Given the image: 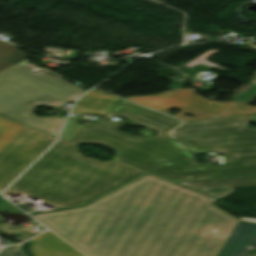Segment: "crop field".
I'll return each instance as SVG.
<instances>
[{
  "label": "crop field",
  "mask_w": 256,
  "mask_h": 256,
  "mask_svg": "<svg viewBox=\"0 0 256 256\" xmlns=\"http://www.w3.org/2000/svg\"><path fill=\"white\" fill-rule=\"evenodd\" d=\"M215 199L147 174L83 207L33 215L88 256H216L237 219Z\"/></svg>",
  "instance_id": "crop-field-1"
},
{
  "label": "crop field",
  "mask_w": 256,
  "mask_h": 256,
  "mask_svg": "<svg viewBox=\"0 0 256 256\" xmlns=\"http://www.w3.org/2000/svg\"><path fill=\"white\" fill-rule=\"evenodd\" d=\"M254 114L186 122L172 136L194 155L231 156L225 165H201L167 137L127 164L172 181L256 174V131L245 128Z\"/></svg>",
  "instance_id": "crop-field-2"
},
{
  "label": "crop field",
  "mask_w": 256,
  "mask_h": 256,
  "mask_svg": "<svg viewBox=\"0 0 256 256\" xmlns=\"http://www.w3.org/2000/svg\"><path fill=\"white\" fill-rule=\"evenodd\" d=\"M144 173L117 160L84 158L75 145L59 139L3 194L20 192L63 208L84 204Z\"/></svg>",
  "instance_id": "crop-field-3"
},
{
  "label": "crop field",
  "mask_w": 256,
  "mask_h": 256,
  "mask_svg": "<svg viewBox=\"0 0 256 256\" xmlns=\"http://www.w3.org/2000/svg\"><path fill=\"white\" fill-rule=\"evenodd\" d=\"M84 92L61 79L33 72L24 60L0 72V115L56 136L63 119L37 118L33 109L75 102Z\"/></svg>",
  "instance_id": "crop-field-4"
},
{
  "label": "crop field",
  "mask_w": 256,
  "mask_h": 256,
  "mask_svg": "<svg viewBox=\"0 0 256 256\" xmlns=\"http://www.w3.org/2000/svg\"><path fill=\"white\" fill-rule=\"evenodd\" d=\"M109 114L159 132V135L155 138L131 137L116 128L117 122L98 119L89 124L78 125L70 142L102 145L116 152L114 159L126 163L169 136L167 131L180 124V121L172 117L123 100Z\"/></svg>",
  "instance_id": "crop-field-5"
},
{
  "label": "crop field",
  "mask_w": 256,
  "mask_h": 256,
  "mask_svg": "<svg viewBox=\"0 0 256 256\" xmlns=\"http://www.w3.org/2000/svg\"><path fill=\"white\" fill-rule=\"evenodd\" d=\"M250 82L256 85V79H253ZM193 92L194 91L190 89H174L155 96L130 97L127 99L166 114H168L167 111L170 109L179 108L182 112L174 117L185 121L256 112V107L238 101L217 103L205 100ZM183 113L195 115L197 117L192 118L181 115Z\"/></svg>",
  "instance_id": "crop-field-6"
},
{
  "label": "crop field",
  "mask_w": 256,
  "mask_h": 256,
  "mask_svg": "<svg viewBox=\"0 0 256 256\" xmlns=\"http://www.w3.org/2000/svg\"><path fill=\"white\" fill-rule=\"evenodd\" d=\"M54 137L26 127L0 152V191L32 163Z\"/></svg>",
  "instance_id": "crop-field-7"
},
{
  "label": "crop field",
  "mask_w": 256,
  "mask_h": 256,
  "mask_svg": "<svg viewBox=\"0 0 256 256\" xmlns=\"http://www.w3.org/2000/svg\"><path fill=\"white\" fill-rule=\"evenodd\" d=\"M184 186L200 191L217 199H220L233 192L236 187L256 185V175L219 178L197 181L178 182Z\"/></svg>",
  "instance_id": "crop-field-8"
},
{
  "label": "crop field",
  "mask_w": 256,
  "mask_h": 256,
  "mask_svg": "<svg viewBox=\"0 0 256 256\" xmlns=\"http://www.w3.org/2000/svg\"><path fill=\"white\" fill-rule=\"evenodd\" d=\"M256 248V224L238 221L217 256H246Z\"/></svg>",
  "instance_id": "crop-field-9"
},
{
  "label": "crop field",
  "mask_w": 256,
  "mask_h": 256,
  "mask_svg": "<svg viewBox=\"0 0 256 256\" xmlns=\"http://www.w3.org/2000/svg\"><path fill=\"white\" fill-rule=\"evenodd\" d=\"M30 250L34 256H83L50 231L31 239Z\"/></svg>",
  "instance_id": "crop-field-10"
},
{
  "label": "crop field",
  "mask_w": 256,
  "mask_h": 256,
  "mask_svg": "<svg viewBox=\"0 0 256 256\" xmlns=\"http://www.w3.org/2000/svg\"><path fill=\"white\" fill-rule=\"evenodd\" d=\"M118 100L119 98L108 93L90 91L77 101L71 112L105 116Z\"/></svg>",
  "instance_id": "crop-field-11"
},
{
  "label": "crop field",
  "mask_w": 256,
  "mask_h": 256,
  "mask_svg": "<svg viewBox=\"0 0 256 256\" xmlns=\"http://www.w3.org/2000/svg\"><path fill=\"white\" fill-rule=\"evenodd\" d=\"M27 58L13 45L0 41V71Z\"/></svg>",
  "instance_id": "crop-field-12"
},
{
  "label": "crop field",
  "mask_w": 256,
  "mask_h": 256,
  "mask_svg": "<svg viewBox=\"0 0 256 256\" xmlns=\"http://www.w3.org/2000/svg\"><path fill=\"white\" fill-rule=\"evenodd\" d=\"M26 126L0 117V151L12 141Z\"/></svg>",
  "instance_id": "crop-field-13"
},
{
  "label": "crop field",
  "mask_w": 256,
  "mask_h": 256,
  "mask_svg": "<svg viewBox=\"0 0 256 256\" xmlns=\"http://www.w3.org/2000/svg\"><path fill=\"white\" fill-rule=\"evenodd\" d=\"M78 121L79 118H69L60 138L69 142L77 126Z\"/></svg>",
  "instance_id": "crop-field-14"
},
{
  "label": "crop field",
  "mask_w": 256,
  "mask_h": 256,
  "mask_svg": "<svg viewBox=\"0 0 256 256\" xmlns=\"http://www.w3.org/2000/svg\"><path fill=\"white\" fill-rule=\"evenodd\" d=\"M217 52H219V51L210 50V51L206 52L205 54H203V55H201V56L199 55L200 57H198V58H196L195 60L189 62V63L186 64L185 66H187V67L190 68V67L196 65L197 63H199V64H206V65H209V66H213V67H216V68L225 70L224 68H222V67H220V66H218V65H215V64H213V63H211V62L205 60V59L208 58L210 55H212L213 53H217Z\"/></svg>",
  "instance_id": "crop-field-15"
},
{
  "label": "crop field",
  "mask_w": 256,
  "mask_h": 256,
  "mask_svg": "<svg viewBox=\"0 0 256 256\" xmlns=\"http://www.w3.org/2000/svg\"><path fill=\"white\" fill-rule=\"evenodd\" d=\"M201 233L206 236H211V237L227 238L230 231L215 228V227H208V228L204 229L203 231H201Z\"/></svg>",
  "instance_id": "crop-field-16"
},
{
  "label": "crop field",
  "mask_w": 256,
  "mask_h": 256,
  "mask_svg": "<svg viewBox=\"0 0 256 256\" xmlns=\"http://www.w3.org/2000/svg\"><path fill=\"white\" fill-rule=\"evenodd\" d=\"M20 245L13 247H5L1 252L0 256H23Z\"/></svg>",
  "instance_id": "crop-field-17"
},
{
  "label": "crop field",
  "mask_w": 256,
  "mask_h": 256,
  "mask_svg": "<svg viewBox=\"0 0 256 256\" xmlns=\"http://www.w3.org/2000/svg\"><path fill=\"white\" fill-rule=\"evenodd\" d=\"M0 210L11 211V212H21L19 209H17L15 206L10 204L8 201H6L2 197H0Z\"/></svg>",
  "instance_id": "crop-field-18"
},
{
  "label": "crop field",
  "mask_w": 256,
  "mask_h": 256,
  "mask_svg": "<svg viewBox=\"0 0 256 256\" xmlns=\"http://www.w3.org/2000/svg\"><path fill=\"white\" fill-rule=\"evenodd\" d=\"M242 220H246V221H251V222H256V219L254 218H240Z\"/></svg>",
  "instance_id": "crop-field-19"
},
{
  "label": "crop field",
  "mask_w": 256,
  "mask_h": 256,
  "mask_svg": "<svg viewBox=\"0 0 256 256\" xmlns=\"http://www.w3.org/2000/svg\"><path fill=\"white\" fill-rule=\"evenodd\" d=\"M0 219H3V218L0 216Z\"/></svg>",
  "instance_id": "crop-field-20"
}]
</instances>
